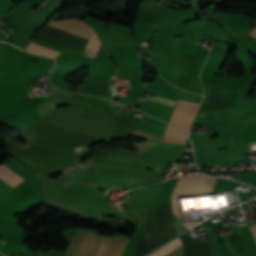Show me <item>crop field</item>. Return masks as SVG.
<instances>
[{
    "label": "crop field",
    "mask_w": 256,
    "mask_h": 256,
    "mask_svg": "<svg viewBox=\"0 0 256 256\" xmlns=\"http://www.w3.org/2000/svg\"><path fill=\"white\" fill-rule=\"evenodd\" d=\"M128 241L78 231L66 256H121Z\"/></svg>",
    "instance_id": "crop-field-1"
},
{
    "label": "crop field",
    "mask_w": 256,
    "mask_h": 256,
    "mask_svg": "<svg viewBox=\"0 0 256 256\" xmlns=\"http://www.w3.org/2000/svg\"><path fill=\"white\" fill-rule=\"evenodd\" d=\"M43 0H27L24 4H26L28 7H30L31 9L35 6H37L38 4H40ZM45 1V0H44ZM43 1V2H44ZM47 1V0H46ZM42 2V3H43ZM39 6V5H38ZM42 6V5H41Z\"/></svg>",
    "instance_id": "crop-field-10"
},
{
    "label": "crop field",
    "mask_w": 256,
    "mask_h": 256,
    "mask_svg": "<svg viewBox=\"0 0 256 256\" xmlns=\"http://www.w3.org/2000/svg\"><path fill=\"white\" fill-rule=\"evenodd\" d=\"M47 25L87 40L93 32V30L87 24L83 23L79 19L52 21L49 22Z\"/></svg>",
    "instance_id": "crop-field-5"
},
{
    "label": "crop field",
    "mask_w": 256,
    "mask_h": 256,
    "mask_svg": "<svg viewBox=\"0 0 256 256\" xmlns=\"http://www.w3.org/2000/svg\"><path fill=\"white\" fill-rule=\"evenodd\" d=\"M248 34L256 37V28L255 29L253 28Z\"/></svg>",
    "instance_id": "crop-field-12"
},
{
    "label": "crop field",
    "mask_w": 256,
    "mask_h": 256,
    "mask_svg": "<svg viewBox=\"0 0 256 256\" xmlns=\"http://www.w3.org/2000/svg\"><path fill=\"white\" fill-rule=\"evenodd\" d=\"M198 105L179 99L171 116L170 123L177 125L187 133Z\"/></svg>",
    "instance_id": "crop-field-3"
},
{
    "label": "crop field",
    "mask_w": 256,
    "mask_h": 256,
    "mask_svg": "<svg viewBox=\"0 0 256 256\" xmlns=\"http://www.w3.org/2000/svg\"><path fill=\"white\" fill-rule=\"evenodd\" d=\"M15 45L25 49L26 46L29 44V42L31 41L32 37L27 36L25 34L19 33L17 31L11 30L9 28H7Z\"/></svg>",
    "instance_id": "crop-field-7"
},
{
    "label": "crop field",
    "mask_w": 256,
    "mask_h": 256,
    "mask_svg": "<svg viewBox=\"0 0 256 256\" xmlns=\"http://www.w3.org/2000/svg\"><path fill=\"white\" fill-rule=\"evenodd\" d=\"M254 224H256V223L249 224L248 226H250V225H254Z\"/></svg>",
    "instance_id": "crop-field-14"
},
{
    "label": "crop field",
    "mask_w": 256,
    "mask_h": 256,
    "mask_svg": "<svg viewBox=\"0 0 256 256\" xmlns=\"http://www.w3.org/2000/svg\"><path fill=\"white\" fill-rule=\"evenodd\" d=\"M156 100H159V101H163V102H166V103H168V101H165V100H161V99H158V98H156Z\"/></svg>",
    "instance_id": "crop-field-13"
},
{
    "label": "crop field",
    "mask_w": 256,
    "mask_h": 256,
    "mask_svg": "<svg viewBox=\"0 0 256 256\" xmlns=\"http://www.w3.org/2000/svg\"><path fill=\"white\" fill-rule=\"evenodd\" d=\"M121 78V77H120Z\"/></svg>",
    "instance_id": "crop-field-15"
},
{
    "label": "crop field",
    "mask_w": 256,
    "mask_h": 256,
    "mask_svg": "<svg viewBox=\"0 0 256 256\" xmlns=\"http://www.w3.org/2000/svg\"><path fill=\"white\" fill-rule=\"evenodd\" d=\"M27 51H30L32 53H35V54H39V55H43V56H51V57H55L57 54H59V52L57 51H54V50H51V49H48V48H44V47H41L39 45H36L34 43H31L29 45V47L27 48Z\"/></svg>",
    "instance_id": "crop-field-8"
},
{
    "label": "crop field",
    "mask_w": 256,
    "mask_h": 256,
    "mask_svg": "<svg viewBox=\"0 0 256 256\" xmlns=\"http://www.w3.org/2000/svg\"><path fill=\"white\" fill-rule=\"evenodd\" d=\"M99 45H100V42L97 39L96 34L93 33V35L91 36V39L87 45V48H86V56H90V57L94 58L97 53Z\"/></svg>",
    "instance_id": "crop-field-9"
},
{
    "label": "crop field",
    "mask_w": 256,
    "mask_h": 256,
    "mask_svg": "<svg viewBox=\"0 0 256 256\" xmlns=\"http://www.w3.org/2000/svg\"><path fill=\"white\" fill-rule=\"evenodd\" d=\"M197 222H188V223H183L187 228L191 227L192 225L196 224Z\"/></svg>",
    "instance_id": "crop-field-11"
},
{
    "label": "crop field",
    "mask_w": 256,
    "mask_h": 256,
    "mask_svg": "<svg viewBox=\"0 0 256 256\" xmlns=\"http://www.w3.org/2000/svg\"><path fill=\"white\" fill-rule=\"evenodd\" d=\"M174 145L161 144L139 155L137 158L147 162L157 171H161L164 163L168 159ZM146 163V164H147Z\"/></svg>",
    "instance_id": "crop-field-4"
},
{
    "label": "crop field",
    "mask_w": 256,
    "mask_h": 256,
    "mask_svg": "<svg viewBox=\"0 0 256 256\" xmlns=\"http://www.w3.org/2000/svg\"><path fill=\"white\" fill-rule=\"evenodd\" d=\"M217 178H210L203 174L178 178L171 195L173 213L181 218L176 197L190 196L192 194H203L212 191Z\"/></svg>",
    "instance_id": "crop-field-2"
},
{
    "label": "crop field",
    "mask_w": 256,
    "mask_h": 256,
    "mask_svg": "<svg viewBox=\"0 0 256 256\" xmlns=\"http://www.w3.org/2000/svg\"><path fill=\"white\" fill-rule=\"evenodd\" d=\"M186 140L187 137L184 134H182L175 127L168 125L162 142L184 144Z\"/></svg>",
    "instance_id": "crop-field-6"
}]
</instances>
